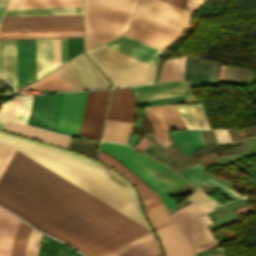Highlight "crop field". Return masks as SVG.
<instances>
[{
    "label": "crop field",
    "instance_id": "crop-field-48",
    "mask_svg": "<svg viewBox=\"0 0 256 256\" xmlns=\"http://www.w3.org/2000/svg\"><path fill=\"white\" fill-rule=\"evenodd\" d=\"M54 68L61 65L60 39H53Z\"/></svg>",
    "mask_w": 256,
    "mask_h": 256
},
{
    "label": "crop field",
    "instance_id": "crop-field-20",
    "mask_svg": "<svg viewBox=\"0 0 256 256\" xmlns=\"http://www.w3.org/2000/svg\"><path fill=\"white\" fill-rule=\"evenodd\" d=\"M210 223H212V220L207 215H203L185 223H182L180 224V226L185 231L194 248H196L207 243L216 242L206 226ZM198 228L207 242L200 234Z\"/></svg>",
    "mask_w": 256,
    "mask_h": 256
},
{
    "label": "crop field",
    "instance_id": "crop-field-35",
    "mask_svg": "<svg viewBox=\"0 0 256 256\" xmlns=\"http://www.w3.org/2000/svg\"><path fill=\"white\" fill-rule=\"evenodd\" d=\"M201 214L203 213L191 203L171 215L180 224Z\"/></svg>",
    "mask_w": 256,
    "mask_h": 256
},
{
    "label": "crop field",
    "instance_id": "crop-field-11",
    "mask_svg": "<svg viewBox=\"0 0 256 256\" xmlns=\"http://www.w3.org/2000/svg\"><path fill=\"white\" fill-rule=\"evenodd\" d=\"M61 95H34L28 124L55 132Z\"/></svg>",
    "mask_w": 256,
    "mask_h": 256
},
{
    "label": "crop field",
    "instance_id": "crop-field-43",
    "mask_svg": "<svg viewBox=\"0 0 256 256\" xmlns=\"http://www.w3.org/2000/svg\"><path fill=\"white\" fill-rule=\"evenodd\" d=\"M81 52V38H67V60Z\"/></svg>",
    "mask_w": 256,
    "mask_h": 256
},
{
    "label": "crop field",
    "instance_id": "crop-field-55",
    "mask_svg": "<svg viewBox=\"0 0 256 256\" xmlns=\"http://www.w3.org/2000/svg\"><path fill=\"white\" fill-rule=\"evenodd\" d=\"M4 6H5V5L0 4V13H2V12H3Z\"/></svg>",
    "mask_w": 256,
    "mask_h": 256
},
{
    "label": "crop field",
    "instance_id": "crop-field-23",
    "mask_svg": "<svg viewBox=\"0 0 256 256\" xmlns=\"http://www.w3.org/2000/svg\"><path fill=\"white\" fill-rule=\"evenodd\" d=\"M37 79L53 70L52 39H36Z\"/></svg>",
    "mask_w": 256,
    "mask_h": 256
},
{
    "label": "crop field",
    "instance_id": "crop-field-16",
    "mask_svg": "<svg viewBox=\"0 0 256 256\" xmlns=\"http://www.w3.org/2000/svg\"><path fill=\"white\" fill-rule=\"evenodd\" d=\"M97 159L116 169L136 186L141 194L145 210L162 204V201L158 195L153 190H151L152 188L150 189L146 184L138 179L139 177L137 178L113 156L100 150Z\"/></svg>",
    "mask_w": 256,
    "mask_h": 256
},
{
    "label": "crop field",
    "instance_id": "crop-field-5",
    "mask_svg": "<svg viewBox=\"0 0 256 256\" xmlns=\"http://www.w3.org/2000/svg\"><path fill=\"white\" fill-rule=\"evenodd\" d=\"M54 71L73 91L110 86V83L83 53Z\"/></svg>",
    "mask_w": 256,
    "mask_h": 256
},
{
    "label": "crop field",
    "instance_id": "crop-field-57",
    "mask_svg": "<svg viewBox=\"0 0 256 256\" xmlns=\"http://www.w3.org/2000/svg\"><path fill=\"white\" fill-rule=\"evenodd\" d=\"M3 212H4V210L0 209V219L2 217Z\"/></svg>",
    "mask_w": 256,
    "mask_h": 256
},
{
    "label": "crop field",
    "instance_id": "crop-field-32",
    "mask_svg": "<svg viewBox=\"0 0 256 256\" xmlns=\"http://www.w3.org/2000/svg\"><path fill=\"white\" fill-rule=\"evenodd\" d=\"M82 36V31L0 34V39Z\"/></svg>",
    "mask_w": 256,
    "mask_h": 256
},
{
    "label": "crop field",
    "instance_id": "crop-field-14",
    "mask_svg": "<svg viewBox=\"0 0 256 256\" xmlns=\"http://www.w3.org/2000/svg\"><path fill=\"white\" fill-rule=\"evenodd\" d=\"M18 89L36 80L35 39L17 40Z\"/></svg>",
    "mask_w": 256,
    "mask_h": 256
},
{
    "label": "crop field",
    "instance_id": "crop-field-49",
    "mask_svg": "<svg viewBox=\"0 0 256 256\" xmlns=\"http://www.w3.org/2000/svg\"><path fill=\"white\" fill-rule=\"evenodd\" d=\"M216 138L219 144L231 143L233 142L228 130H214Z\"/></svg>",
    "mask_w": 256,
    "mask_h": 256
},
{
    "label": "crop field",
    "instance_id": "crop-field-30",
    "mask_svg": "<svg viewBox=\"0 0 256 256\" xmlns=\"http://www.w3.org/2000/svg\"><path fill=\"white\" fill-rule=\"evenodd\" d=\"M32 228L20 222L17 232L15 234L14 243L12 247L11 256H24L28 236Z\"/></svg>",
    "mask_w": 256,
    "mask_h": 256
},
{
    "label": "crop field",
    "instance_id": "crop-field-33",
    "mask_svg": "<svg viewBox=\"0 0 256 256\" xmlns=\"http://www.w3.org/2000/svg\"><path fill=\"white\" fill-rule=\"evenodd\" d=\"M203 189L199 188L192 196L188 199L195 204L199 209H201L204 214L214 210L213 207L220 205L217 201L213 200L209 196L205 195ZM209 194V193H207ZM211 195V194H209Z\"/></svg>",
    "mask_w": 256,
    "mask_h": 256
},
{
    "label": "crop field",
    "instance_id": "crop-field-36",
    "mask_svg": "<svg viewBox=\"0 0 256 256\" xmlns=\"http://www.w3.org/2000/svg\"><path fill=\"white\" fill-rule=\"evenodd\" d=\"M121 34L84 33L85 49L113 40Z\"/></svg>",
    "mask_w": 256,
    "mask_h": 256
},
{
    "label": "crop field",
    "instance_id": "crop-field-56",
    "mask_svg": "<svg viewBox=\"0 0 256 256\" xmlns=\"http://www.w3.org/2000/svg\"><path fill=\"white\" fill-rule=\"evenodd\" d=\"M154 144V142H152L148 147H146L144 150H143V152L145 151V150H147L151 145H153Z\"/></svg>",
    "mask_w": 256,
    "mask_h": 256
},
{
    "label": "crop field",
    "instance_id": "crop-field-25",
    "mask_svg": "<svg viewBox=\"0 0 256 256\" xmlns=\"http://www.w3.org/2000/svg\"><path fill=\"white\" fill-rule=\"evenodd\" d=\"M186 130L209 129L200 105L178 106Z\"/></svg>",
    "mask_w": 256,
    "mask_h": 256
},
{
    "label": "crop field",
    "instance_id": "crop-field-2",
    "mask_svg": "<svg viewBox=\"0 0 256 256\" xmlns=\"http://www.w3.org/2000/svg\"><path fill=\"white\" fill-rule=\"evenodd\" d=\"M101 150L113 155L160 196L168 211L178 205L166 193L188 182L155 160L123 145L103 142Z\"/></svg>",
    "mask_w": 256,
    "mask_h": 256
},
{
    "label": "crop field",
    "instance_id": "crop-field-29",
    "mask_svg": "<svg viewBox=\"0 0 256 256\" xmlns=\"http://www.w3.org/2000/svg\"><path fill=\"white\" fill-rule=\"evenodd\" d=\"M178 59L179 58H171L165 62L162 68L160 82L169 80H182L185 56L180 58L177 70Z\"/></svg>",
    "mask_w": 256,
    "mask_h": 256
},
{
    "label": "crop field",
    "instance_id": "crop-field-18",
    "mask_svg": "<svg viewBox=\"0 0 256 256\" xmlns=\"http://www.w3.org/2000/svg\"><path fill=\"white\" fill-rule=\"evenodd\" d=\"M3 129L67 148H69L72 138L8 121H6Z\"/></svg>",
    "mask_w": 256,
    "mask_h": 256
},
{
    "label": "crop field",
    "instance_id": "crop-field-26",
    "mask_svg": "<svg viewBox=\"0 0 256 256\" xmlns=\"http://www.w3.org/2000/svg\"><path fill=\"white\" fill-rule=\"evenodd\" d=\"M133 125L132 123L106 119L103 140L127 144Z\"/></svg>",
    "mask_w": 256,
    "mask_h": 256
},
{
    "label": "crop field",
    "instance_id": "crop-field-38",
    "mask_svg": "<svg viewBox=\"0 0 256 256\" xmlns=\"http://www.w3.org/2000/svg\"><path fill=\"white\" fill-rule=\"evenodd\" d=\"M206 170L203 166H201L199 163L195 164L194 166L186 169L185 171L179 173L186 177L188 180L193 182L195 185L198 186L202 173Z\"/></svg>",
    "mask_w": 256,
    "mask_h": 256
},
{
    "label": "crop field",
    "instance_id": "crop-field-44",
    "mask_svg": "<svg viewBox=\"0 0 256 256\" xmlns=\"http://www.w3.org/2000/svg\"><path fill=\"white\" fill-rule=\"evenodd\" d=\"M14 151L0 146V176L12 157Z\"/></svg>",
    "mask_w": 256,
    "mask_h": 256
},
{
    "label": "crop field",
    "instance_id": "crop-field-59",
    "mask_svg": "<svg viewBox=\"0 0 256 256\" xmlns=\"http://www.w3.org/2000/svg\"><path fill=\"white\" fill-rule=\"evenodd\" d=\"M156 256H162V253H160V254H158V255H156Z\"/></svg>",
    "mask_w": 256,
    "mask_h": 256
},
{
    "label": "crop field",
    "instance_id": "crop-field-17",
    "mask_svg": "<svg viewBox=\"0 0 256 256\" xmlns=\"http://www.w3.org/2000/svg\"><path fill=\"white\" fill-rule=\"evenodd\" d=\"M113 49L121 51L125 54L133 56L137 59L145 61L155 66L156 59L162 53V51L155 49L151 46L143 44L125 35L121 36L114 42L104 44ZM108 47V48H109Z\"/></svg>",
    "mask_w": 256,
    "mask_h": 256
},
{
    "label": "crop field",
    "instance_id": "crop-field-3",
    "mask_svg": "<svg viewBox=\"0 0 256 256\" xmlns=\"http://www.w3.org/2000/svg\"><path fill=\"white\" fill-rule=\"evenodd\" d=\"M114 86L149 83L154 66L104 45L86 51ZM87 54V55H88Z\"/></svg>",
    "mask_w": 256,
    "mask_h": 256
},
{
    "label": "crop field",
    "instance_id": "crop-field-27",
    "mask_svg": "<svg viewBox=\"0 0 256 256\" xmlns=\"http://www.w3.org/2000/svg\"><path fill=\"white\" fill-rule=\"evenodd\" d=\"M38 256H82L77 254L65 245L49 238L42 236Z\"/></svg>",
    "mask_w": 256,
    "mask_h": 256
},
{
    "label": "crop field",
    "instance_id": "crop-field-4",
    "mask_svg": "<svg viewBox=\"0 0 256 256\" xmlns=\"http://www.w3.org/2000/svg\"><path fill=\"white\" fill-rule=\"evenodd\" d=\"M138 0H84V32L124 33Z\"/></svg>",
    "mask_w": 256,
    "mask_h": 256
},
{
    "label": "crop field",
    "instance_id": "crop-field-60",
    "mask_svg": "<svg viewBox=\"0 0 256 256\" xmlns=\"http://www.w3.org/2000/svg\"><path fill=\"white\" fill-rule=\"evenodd\" d=\"M1 15H2V14H0V18H1Z\"/></svg>",
    "mask_w": 256,
    "mask_h": 256
},
{
    "label": "crop field",
    "instance_id": "crop-field-51",
    "mask_svg": "<svg viewBox=\"0 0 256 256\" xmlns=\"http://www.w3.org/2000/svg\"><path fill=\"white\" fill-rule=\"evenodd\" d=\"M205 0H188V7L199 10L200 7L204 4Z\"/></svg>",
    "mask_w": 256,
    "mask_h": 256
},
{
    "label": "crop field",
    "instance_id": "crop-field-8",
    "mask_svg": "<svg viewBox=\"0 0 256 256\" xmlns=\"http://www.w3.org/2000/svg\"><path fill=\"white\" fill-rule=\"evenodd\" d=\"M136 12L181 31L192 15L159 0H140Z\"/></svg>",
    "mask_w": 256,
    "mask_h": 256
},
{
    "label": "crop field",
    "instance_id": "crop-field-54",
    "mask_svg": "<svg viewBox=\"0 0 256 256\" xmlns=\"http://www.w3.org/2000/svg\"><path fill=\"white\" fill-rule=\"evenodd\" d=\"M6 120H4L3 118L0 117V129H2L4 123Z\"/></svg>",
    "mask_w": 256,
    "mask_h": 256
},
{
    "label": "crop field",
    "instance_id": "crop-field-34",
    "mask_svg": "<svg viewBox=\"0 0 256 256\" xmlns=\"http://www.w3.org/2000/svg\"><path fill=\"white\" fill-rule=\"evenodd\" d=\"M32 97H33V95H31V96L19 95L15 118H14L15 121H19V122L27 124L30 107H31V102H32Z\"/></svg>",
    "mask_w": 256,
    "mask_h": 256
},
{
    "label": "crop field",
    "instance_id": "crop-field-21",
    "mask_svg": "<svg viewBox=\"0 0 256 256\" xmlns=\"http://www.w3.org/2000/svg\"><path fill=\"white\" fill-rule=\"evenodd\" d=\"M170 135L174 144L187 155L206 146L201 131H172Z\"/></svg>",
    "mask_w": 256,
    "mask_h": 256
},
{
    "label": "crop field",
    "instance_id": "crop-field-7",
    "mask_svg": "<svg viewBox=\"0 0 256 256\" xmlns=\"http://www.w3.org/2000/svg\"><path fill=\"white\" fill-rule=\"evenodd\" d=\"M108 91L88 92L79 136L99 139Z\"/></svg>",
    "mask_w": 256,
    "mask_h": 256
},
{
    "label": "crop field",
    "instance_id": "crop-field-1",
    "mask_svg": "<svg viewBox=\"0 0 256 256\" xmlns=\"http://www.w3.org/2000/svg\"><path fill=\"white\" fill-rule=\"evenodd\" d=\"M14 149L150 230L133 187L111 169L70 151L0 131ZM0 178V205L88 256H102L148 232L20 153Z\"/></svg>",
    "mask_w": 256,
    "mask_h": 256
},
{
    "label": "crop field",
    "instance_id": "crop-field-53",
    "mask_svg": "<svg viewBox=\"0 0 256 256\" xmlns=\"http://www.w3.org/2000/svg\"><path fill=\"white\" fill-rule=\"evenodd\" d=\"M66 62V38L62 39V63Z\"/></svg>",
    "mask_w": 256,
    "mask_h": 256
},
{
    "label": "crop field",
    "instance_id": "crop-field-28",
    "mask_svg": "<svg viewBox=\"0 0 256 256\" xmlns=\"http://www.w3.org/2000/svg\"><path fill=\"white\" fill-rule=\"evenodd\" d=\"M20 90H61L71 91L67 85L58 77V75L52 71L44 78L23 87Z\"/></svg>",
    "mask_w": 256,
    "mask_h": 256
},
{
    "label": "crop field",
    "instance_id": "crop-field-46",
    "mask_svg": "<svg viewBox=\"0 0 256 256\" xmlns=\"http://www.w3.org/2000/svg\"><path fill=\"white\" fill-rule=\"evenodd\" d=\"M156 243L157 242H156L155 238H153V239H151V240H149V241H147V242H145V243H143V244H141V245H139V246H137V247L121 254V255H119V256H132V255H134V254H136V253H138V252H140V251H142V250H144V249H146V248H148V247H150V246H152Z\"/></svg>",
    "mask_w": 256,
    "mask_h": 256
},
{
    "label": "crop field",
    "instance_id": "crop-field-50",
    "mask_svg": "<svg viewBox=\"0 0 256 256\" xmlns=\"http://www.w3.org/2000/svg\"><path fill=\"white\" fill-rule=\"evenodd\" d=\"M160 252H161L160 247L158 244H156V245H154V246H152L134 256H154Z\"/></svg>",
    "mask_w": 256,
    "mask_h": 256
},
{
    "label": "crop field",
    "instance_id": "crop-field-19",
    "mask_svg": "<svg viewBox=\"0 0 256 256\" xmlns=\"http://www.w3.org/2000/svg\"><path fill=\"white\" fill-rule=\"evenodd\" d=\"M0 75L17 88L16 40L0 41Z\"/></svg>",
    "mask_w": 256,
    "mask_h": 256
},
{
    "label": "crop field",
    "instance_id": "crop-field-24",
    "mask_svg": "<svg viewBox=\"0 0 256 256\" xmlns=\"http://www.w3.org/2000/svg\"><path fill=\"white\" fill-rule=\"evenodd\" d=\"M82 14V6L6 9L3 16Z\"/></svg>",
    "mask_w": 256,
    "mask_h": 256
},
{
    "label": "crop field",
    "instance_id": "crop-field-39",
    "mask_svg": "<svg viewBox=\"0 0 256 256\" xmlns=\"http://www.w3.org/2000/svg\"><path fill=\"white\" fill-rule=\"evenodd\" d=\"M82 30V27L0 29V33Z\"/></svg>",
    "mask_w": 256,
    "mask_h": 256
},
{
    "label": "crop field",
    "instance_id": "crop-field-37",
    "mask_svg": "<svg viewBox=\"0 0 256 256\" xmlns=\"http://www.w3.org/2000/svg\"><path fill=\"white\" fill-rule=\"evenodd\" d=\"M203 182L208 183V184L214 186L215 188H217V189H219L220 191L226 193L227 195H229V196H230L231 198H233V199L236 198L235 200H233V201H231V202H229V203H226V204H224V205H221V206L216 207V208H215L216 210L219 209V208L225 207V206H227V205H230V204L239 202V201H241V200L247 199L246 196H249L248 194H246V195L240 197L241 195H239V194L236 193L235 191H233V190H231V189H229V188H227V187H225V186H222V185H220L219 183H217V182H215V181H213V180H210V179H208V178H205V177H203ZM239 197H240V198H239Z\"/></svg>",
    "mask_w": 256,
    "mask_h": 256
},
{
    "label": "crop field",
    "instance_id": "crop-field-10",
    "mask_svg": "<svg viewBox=\"0 0 256 256\" xmlns=\"http://www.w3.org/2000/svg\"><path fill=\"white\" fill-rule=\"evenodd\" d=\"M142 109L156 133L157 142L164 147L171 143L167 130L184 129L176 106L142 107Z\"/></svg>",
    "mask_w": 256,
    "mask_h": 256
},
{
    "label": "crop field",
    "instance_id": "crop-field-40",
    "mask_svg": "<svg viewBox=\"0 0 256 256\" xmlns=\"http://www.w3.org/2000/svg\"><path fill=\"white\" fill-rule=\"evenodd\" d=\"M153 237L154 236H153L152 232H150V233H148V234H146V235H144V236H142V237H140V238H138V239H136V240H134V241H132V242H130V243H128V244H126V245H124V246H122V247L104 255V256H117V255H119V254H121V253H123V252H125V251H127V250H129V249H131V248H133V247L151 239V238H153Z\"/></svg>",
    "mask_w": 256,
    "mask_h": 256
},
{
    "label": "crop field",
    "instance_id": "crop-field-9",
    "mask_svg": "<svg viewBox=\"0 0 256 256\" xmlns=\"http://www.w3.org/2000/svg\"><path fill=\"white\" fill-rule=\"evenodd\" d=\"M86 94L63 93L56 132L78 136Z\"/></svg>",
    "mask_w": 256,
    "mask_h": 256
},
{
    "label": "crop field",
    "instance_id": "crop-field-41",
    "mask_svg": "<svg viewBox=\"0 0 256 256\" xmlns=\"http://www.w3.org/2000/svg\"><path fill=\"white\" fill-rule=\"evenodd\" d=\"M41 235L42 234L38 233L37 231L32 230V232L29 236L25 256H37L38 246H39V241H40Z\"/></svg>",
    "mask_w": 256,
    "mask_h": 256
},
{
    "label": "crop field",
    "instance_id": "crop-field-31",
    "mask_svg": "<svg viewBox=\"0 0 256 256\" xmlns=\"http://www.w3.org/2000/svg\"><path fill=\"white\" fill-rule=\"evenodd\" d=\"M146 213L150 219L154 230L174 223L172 218L169 216L164 204L146 210Z\"/></svg>",
    "mask_w": 256,
    "mask_h": 256
},
{
    "label": "crop field",
    "instance_id": "crop-field-22",
    "mask_svg": "<svg viewBox=\"0 0 256 256\" xmlns=\"http://www.w3.org/2000/svg\"><path fill=\"white\" fill-rule=\"evenodd\" d=\"M20 220L4 212L0 222V256H10L14 234Z\"/></svg>",
    "mask_w": 256,
    "mask_h": 256
},
{
    "label": "crop field",
    "instance_id": "crop-field-13",
    "mask_svg": "<svg viewBox=\"0 0 256 256\" xmlns=\"http://www.w3.org/2000/svg\"><path fill=\"white\" fill-rule=\"evenodd\" d=\"M156 233L165 256H194L191 244L176 223L158 229Z\"/></svg>",
    "mask_w": 256,
    "mask_h": 256
},
{
    "label": "crop field",
    "instance_id": "crop-field-12",
    "mask_svg": "<svg viewBox=\"0 0 256 256\" xmlns=\"http://www.w3.org/2000/svg\"><path fill=\"white\" fill-rule=\"evenodd\" d=\"M132 88L139 101L185 94L187 103H197L190 82H166Z\"/></svg>",
    "mask_w": 256,
    "mask_h": 256
},
{
    "label": "crop field",
    "instance_id": "crop-field-6",
    "mask_svg": "<svg viewBox=\"0 0 256 256\" xmlns=\"http://www.w3.org/2000/svg\"><path fill=\"white\" fill-rule=\"evenodd\" d=\"M180 33L179 30L136 13L125 35L164 51L172 46Z\"/></svg>",
    "mask_w": 256,
    "mask_h": 256
},
{
    "label": "crop field",
    "instance_id": "crop-field-47",
    "mask_svg": "<svg viewBox=\"0 0 256 256\" xmlns=\"http://www.w3.org/2000/svg\"><path fill=\"white\" fill-rule=\"evenodd\" d=\"M241 141L250 153V155L256 153V135L241 138Z\"/></svg>",
    "mask_w": 256,
    "mask_h": 256
},
{
    "label": "crop field",
    "instance_id": "crop-field-52",
    "mask_svg": "<svg viewBox=\"0 0 256 256\" xmlns=\"http://www.w3.org/2000/svg\"><path fill=\"white\" fill-rule=\"evenodd\" d=\"M184 10L186 0H162Z\"/></svg>",
    "mask_w": 256,
    "mask_h": 256
},
{
    "label": "crop field",
    "instance_id": "crop-field-42",
    "mask_svg": "<svg viewBox=\"0 0 256 256\" xmlns=\"http://www.w3.org/2000/svg\"><path fill=\"white\" fill-rule=\"evenodd\" d=\"M17 96L9 102H4L0 104V115L6 119H11L13 120L14 118V113H15V107H16V102H17Z\"/></svg>",
    "mask_w": 256,
    "mask_h": 256
},
{
    "label": "crop field",
    "instance_id": "crop-field-45",
    "mask_svg": "<svg viewBox=\"0 0 256 256\" xmlns=\"http://www.w3.org/2000/svg\"><path fill=\"white\" fill-rule=\"evenodd\" d=\"M201 165L208 168L212 164H220L215 153L206 154L195 158Z\"/></svg>",
    "mask_w": 256,
    "mask_h": 256
},
{
    "label": "crop field",
    "instance_id": "crop-field-15",
    "mask_svg": "<svg viewBox=\"0 0 256 256\" xmlns=\"http://www.w3.org/2000/svg\"><path fill=\"white\" fill-rule=\"evenodd\" d=\"M106 118L135 123V100L131 89H113Z\"/></svg>",
    "mask_w": 256,
    "mask_h": 256
},
{
    "label": "crop field",
    "instance_id": "crop-field-58",
    "mask_svg": "<svg viewBox=\"0 0 256 256\" xmlns=\"http://www.w3.org/2000/svg\"><path fill=\"white\" fill-rule=\"evenodd\" d=\"M0 2L5 4V2H6V1H4V0H0Z\"/></svg>",
    "mask_w": 256,
    "mask_h": 256
}]
</instances>
